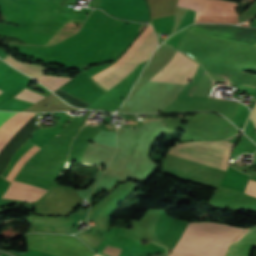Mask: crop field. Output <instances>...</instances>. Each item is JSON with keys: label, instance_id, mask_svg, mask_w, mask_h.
Segmentation results:
<instances>
[{"label": "crop field", "instance_id": "8a807250", "mask_svg": "<svg viewBox=\"0 0 256 256\" xmlns=\"http://www.w3.org/2000/svg\"><path fill=\"white\" fill-rule=\"evenodd\" d=\"M243 230L220 224L190 223L172 252L223 256L230 241Z\"/></svg>", "mask_w": 256, "mask_h": 256}, {"label": "crop field", "instance_id": "ac0d7876", "mask_svg": "<svg viewBox=\"0 0 256 256\" xmlns=\"http://www.w3.org/2000/svg\"><path fill=\"white\" fill-rule=\"evenodd\" d=\"M156 46L157 39L152 27L148 25L131 47L114 64L92 77L109 91L138 64L148 60Z\"/></svg>", "mask_w": 256, "mask_h": 256}, {"label": "crop field", "instance_id": "34b2d1b8", "mask_svg": "<svg viewBox=\"0 0 256 256\" xmlns=\"http://www.w3.org/2000/svg\"><path fill=\"white\" fill-rule=\"evenodd\" d=\"M29 248L59 256H93L94 252L84 243L72 236L27 235ZM24 256H55L29 249Z\"/></svg>", "mask_w": 256, "mask_h": 256}, {"label": "crop field", "instance_id": "412701ff", "mask_svg": "<svg viewBox=\"0 0 256 256\" xmlns=\"http://www.w3.org/2000/svg\"><path fill=\"white\" fill-rule=\"evenodd\" d=\"M233 143L193 142L175 145L168 153L226 170Z\"/></svg>", "mask_w": 256, "mask_h": 256}, {"label": "crop field", "instance_id": "f4fd0767", "mask_svg": "<svg viewBox=\"0 0 256 256\" xmlns=\"http://www.w3.org/2000/svg\"><path fill=\"white\" fill-rule=\"evenodd\" d=\"M197 66L198 63L177 51L170 62L150 80L187 84Z\"/></svg>", "mask_w": 256, "mask_h": 256}, {"label": "crop field", "instance_id": "dd49c442", "mask_svg": "<svg viewBox=\"0 0 256 256\" xmlns=\"http://www.w3.org/2000/svg\"><path fill=\"white\" fill-rule=\"evenodd\" d=\"M196 22L238 23L237 3L223 0H208Z\"/></svg>", "mask_w": 256, "mask_h": 256}, {"label": "crop field", "instance_id": "e52e79f7", "mask_svg": "<svg viewBox=\"0 0 256 256\" xmlns=\"http://www.w3.org/2000/svg\"><path fill=\"white\" fill-rule=\"evenodd\" d=\"M206 2L207 0H193V3H192V0H179L178 6H177V12L175 16L173 32L180 30L191 3L192 5L190 7V10L187 14V17L184 21L182 28L188 26L190 23H194L197 16L203 10Z\"/></svg>", "mask_w": 256, "mask_h": 256}, {"label": "crop field", "instance_id": "d8731c3e", "mask_svg": "<svg viewBox=\"0 0 256 256\" xmlns=\"http://www.w3.org/2000/svg\"><path fill=\"white\" fill-rule=\"evenodd\" d=\"M256 244V226L245 230L230 245L225 256H249L251 248Z\"/></svg>", "mask_w": 256, "mask_h": 256}, {"label": "crop field", "instance_id": "5a996713", "mask_svg": "<svg viewBox=\"0 0 256 256\" xmlns=\"http://www.w3.org/2000/svg\"><path fill=\"white\" fill-rule=\"evenodd\" d=\"M33 115L34 114L18 113L0 127V153Z\"/></svg>", "mask_w": 256, "mask_h": 256}, {"label": "crop field", "instance_id": "3316defc", "mask_svg": "<svg viewBox=\"0 0 256 256\" xmlns=\"http://www.w3.org/2000/svg\"><path fill=\"white\" fill-rule=\"evenodd\" d=\"M173 219L169 218L166 213L157 212L149 222V230L151 240L155 243H159L162 236L168 229Z\"/></svg>", "mask_w": 256, "mask_h": 256}, {"label": "crop field", "instance_id": "28ad6ade", "mask_svg": "<svg viewBox=\"0 0 256 256\" xmlns=\"http://www.w3.org/2000/svg\"><path fill=\"white\" fill-rule=\"evenodd\" d=\"M4 60L8 61L17 69L25 72L26 74H28L29 76L37 80L46 71V69L41 67L40 65H33V64L18 62L17 60L13 59L10 55H8Z\"/></svg>", "mask_w": 256, "mask_h": 256}, {"label": "crop field", "instance_id": "d1516ede", "mask_svg": "<svg viewBox=\"0 0 256 256\" xmlns=\"http://www.w3.org/2000/svg\"><path fill=\"white\" fill-rule=\"evenodd\" d=\"M71 80V78H66L62 76H51V75H43L38 81L44 84L53 92L58 89L61 85ZM62 87V86H61Z\"/></svg>", "mask_w": 256, "mask_h": 256}, {"label": "crop field", "instance_id": "22f410ed", "mask_svg": "<svg viewBox=\"0 0 256 256\" xmlns=\"http://www.w3.org/2000/svg\"><path fill=\"white\" fill-rule=\"evenodd\" d=\"M40 148L37 146H33L27 153H25L14 165L11 172L7 176V179L11 180L15 177L19 169L22 167V165L32 156L34 155Z\"/></svg>", "mask_w": 256, "mask_h": 256}, {"label": "crop field", "instance_id": "cbeb9de0", "mask_svg": "<svg viewBox=\"0 0 256 256\" xmlns=\"http://www.w3.org/2000/svg\"><path fill=\"white\" fill-rule=\"evenodd\" d=\"M119 179L112 178L108 176L102 175L99 183L97 184L93 193L86 199L87 201L91 202V199L94 197L96 193L101 192L102 190H107L110 186L114 185Z\"/></svg>", "mask_w": 256, "mask_h": 256}, {"label": "crop field", "instance_id": "5142ce71", "mask_svg": "<svg viewBox=\"0 0 256 256\" xmlns=\"http://www.w3.org/2000/svg\"><path fill=\"white\" fill-rule=\"evenodd\" d=\"M93 141H98V142L116 146V133L100 130L99 134L96 136V138Z\"/></svg>", "mask_w": 256, "mask_h": 256}, {"label": "crop field", "instance_id": "d9b57169", "mask_svg": "<svg viewBox=\"0 0 256 256\" xmlns=\"http://www.w3.org/2000/svg\"><path fill=\"white\" fill-rule=\"evenodd\" d=\"M15 98H19L22 100H26L29 102H33L36 103L37 101L45 98L44 96L35 94L27 89L23 90L22 92H20L18 95L15 96Z\"/></svg>", "mask_w": 256, "mask_h": 256}, {"label": "crop field", "instance_id": "733c2abd", "mask_svg": "<svg viewBox=\"0 0 256 256\" xmlns=\"http://www.w3.org/2000/svg\"><path fill=\"white\" fill-rule=\"evenodd\" d=\"M102 174L101 171H99L95 181L93 182V184L87 188V189H84V190H76V192L83 198V200L86 198V196L92 191V189L95 187L100 175Z\"/></svg>", "mask_w": 256, "mask_h": 256}, {"label": "crop field", "instance_id": "4a817a6b", "mask_svg": "<svg viewBox=\"0 0 256 256\" xmlns=\"http://www.w3.org/2000/svg\"><path fill=\"white\" fill-rule=\"evenodd\" d=\"M245 193L256 197V182L250 180Z\"/></svg>", "mask_w": 256, "mask_h": 256}, {"label": "crop field", "instance_id": "bc2a9ffb", "mask_svg": "<svg viewBox=\"0 0 256 256\" xmlns=\"http://www.w3.org/2000/svg\"><path fill=\"white\" fill-rule=\"evenodd\" d=\"M15 114L17 113L0 112V126H2L5 122H7Z\"/></svg>", "mask_w": 256, "mask_h": 256}, {"label": "crop field", "instance_id": "214f88e0", "mask_svg": "<svg viewBox=\"0 0 256 256\" xmlns=\"http://www.w3.org/2000/svg\"><path fill=\"white\" fill-rule=\"evenodd\" d=\"M251 120L253 121L255 127H256V105L252 110L251 116H250Z\"/></svg>", "mask_w": 256, "mask_h": 256}, {"label": "crop field", "instance_id": "92a150f3", "mask_svg": "<svg viewBox=\"0 0 256 256\" xmlns=\"http://www.w3.org/2000/svg\"><path fill=\"white\" fill-rule=\"evenodd\" d=\"M169 256H189V255L170 253Z\"/></svg>", "mask_w": 256, "mask_h": 256}, {"label": "crop field", "instance_id": "dafd665d", "mask_svg": "<svg viewBox=\"0 0 256 256\" xmlns=\"http://www.w3.org/2000/svg\"><path fill=\"white\" fill-rule=\"evenodd\" d=\"M94 256H99V255H94Z\"/></svg>", "mask_w": 256, "mask_h": 256}, {"label": "crop field", "instance_id": "00972430", "mask_svg": "<svg viewBox=\"0 0 256 256\" xmlns=\"http://www.w3.org/2000/svg\"><path fill=\"white\" fill-rule=\"evenodd\" d=\"M0 93H2V91H0Z\"/></svg>", "mask_w": 256, "mask_h": 256}]
</instances>
